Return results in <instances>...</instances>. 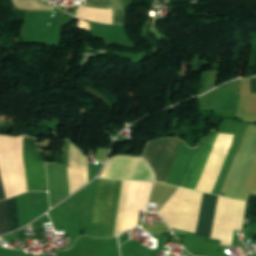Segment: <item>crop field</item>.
Wrapping results in <instances>:
<instances>
[{"instance_id": "1", "label": "crop field", "mask_w": 256, "mask_h": 256, "mask_svg": "<svg viewBox=\"0 0 256 256\" xmlns=\"http://www.w3.org/2000/svg\"><path fill=\"white\" fill-rule=\"evenodd\" d=\"M218 196L204 194L195 235L210 236ZM246 202L219 197L211 237L231 246L234 230H240ZM218 239V240H219Z\"/></svg>"}, {"instance_id": "2", "label": "crop field", "mask_w": 256, "mask_h": 256, "mask_svg": "<svg viewBox=\"0 0 256 256\" xmlns=\"http://www.w3.org/2000/svg\"><path fill=\"white\" fill-rule=\"evenodd\" d=\"M181 141L178 139H165L149 142L143 159L147 161L155 173L156 180L166 182L170 168L176 157Z\"/></svg>"}, {"instance_id": "3", "label": "crop field", "mask_w": 256, "mask_h": 256, "mask_svg": "<svg viewBox=\"0 0 256 256\" xmlns=\"http://www.w3.org/2000/svg\"><path fill=\"white\" fill-rule=\"evenodd\" d=\"M121 181H99L93 221L109 224L107 237L112 236Z\"/></svg>"}, {"instance_id": "4", "label": "crop field", "mask_w": 256, "mask_h": 256, "mask_svg": "<svg viewBox=\"0 0 256 256\" xmlns=\"http://www.w3.org/2000/svg\"><path fill=\"white\" fill-rule=\"evenodd\" d=\"M33 191H47L43 152L36 149L34 139L22 137Z\"/></svg>"}, {"instance_id": "5", "label": "crop field", "mask_w": 256, "mask_h": 256, "mask_svg": "<svg viewBox=\"0 0 256 256\" xmlns=\"http://www.w3.org/2000/svg\"><path fill=\"white\" fill-rule=\"evenodd\" d=\"M217 134L214 133L210 139L203 142L202 148L196 151L182 187L196 189Z\"/></svg>"}, {"instance_id": "6", "label": "crop field", "mask_w": 256, "mask_h": 256, "mask_svg": "<svg viewBox=\"0 0 256 256\" xmlns=\"http://www.w3.org/2000/svg\"><path fill=\"white\" fill-rule=\"evenodd\" d=\"M69 195L87 183V157L72 146L71 167H68Z\"/></svg>"}, {"instance_id": "7", "label": "crop field", "mask_w": 256, "mask_h": 256, "mask_svg": "<svg viewBox=\"0 0 256 256\" xmlns=\"http://www.w3.org/2000/svg\"><path fill=\"white\" fill-rule=\"evenodd\" d=\"M12 228L19 227L16 197L8 199ZM7 200L0 202V235L12 231ZM14 231V229H13Z\"/></svg>"}, {"instance_id": "8", "label": "crop field", "mask_w": 256, "mask_h": 256, "mask_svg": "<svg viewBox=\"0 0 256 256\" xmlns=\"http://www.w3.org/2000/svg\"><path fill=\"white\" fill-rule=\"evenodd\" d=\"M85 5L91 7L109 8L111 15L110 25H123L124 6L122 4V0H86Z\"/></svg>"}, {"instance_id": "9", "label": "crop field", "mask_w": 256, "mask_h": 256, "mask_svg": "<svg viewBox=\"0 0 256 256\" xmlns=\"http://www.w3.org/2000/svg\"><path fill=\"white\" fill-rule=\"evenodd\" d=\"M251 93H256V77L250 78Z\"/></svg>"}, {"instance_id": "10", "label": "crop field", "mask_w": 256, "mask_h": 256, "mask_svg": "<svg viewBox=\"0 0 256 256\" xmlns=\"http://www.w3.org/2000/svg\"><path fill=\"white\" fill-rule=\"evenodd\" d=\"M5 199L4 192H3V187L1 183V178H0V200Z\"/></svg>"}]
</instances>
